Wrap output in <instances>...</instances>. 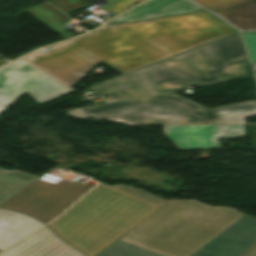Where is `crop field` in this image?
I'll return each mask as SVG.
<instances>
[{"label": "crop field", "instance_id": "e52e79f7", "mask_svg": "<svg viewBox=\"0 0 256 256\" xmlns=\"http://www.w3.org/2000/svg\"><path fill=\"white\" fill-rule=\"evenodd\" d=\"M90 187L62 179L56 185L35 181L1 207L32 215L43 222L58 216Z\"/></svg>", "mask_w": 256, "mask_h": 256}, {"label": "crop field", "instance_id": "214f88e0", "mask_svg": "<svg viewBox=\"0 0 256 256\" xmlns=\"http://www.w3.org/2000/svg\"><path fill=\"white\" fill-rule=\"evenodd\" d=\"M49 2L66 14L90 6V4L84 0H52Z\"/></svg>", "mask_w": 256, "mask_h": 256}, {"label": "crop field", "instance_id": "bc2a9ffb", "mask_svg": "<svg viewBox=\"0 0 256 256\" xmlns=\"http://www.w3.org/2000/svg\"><path fill=\"white\" fill-rule=\"evenodd\" d=\"M98 256H163L117 240Z\"/></svg>", "mask_w": 256, "mask_h": 256}, {"label": "crop field", "instance_id": "d9b57169", "mask_svg": "<svg viewBox=\"0 0 256 256\" xmlns=\"http://www.w3.org/2000/svg\"><path fill=\"white\" fill-rule=\"evenodd\" d=\"M211 11L241 30H256V0H244Z\"/></svg>", "mask_w": 256, "mask_h": 256}, {"label": "crop field", "instance_id": "cbeb9de0", "mask_svg": "<svg viewBox=\"0 0 256 256\" xmlns=\"http://www.w3.org/2000/svg\"><path fill=\"white\" fill-rule=\"evenodd\" d=\"M43 225L25 214L0 208V251Z\"/></svg>", "mask_w": 256, "mask_h": 256}, {"label": "crop field", "instance_id": "f4fd0767", "mask_svg": "<svg viewBox=\"0 0 256 256\" xmlns=\"http://www.w3.org/2000/svg\"><path fill=\"white\" fill-rule=\"evenodd\" d=\"M124 25L173 55L236 32L205 11Z\"/></svg>", "mask_w": 256, "mask_h": 256}, {"label": "crop field", "instance_id": "733c2abd", "mask_svg": "<svg viewBox=\"0 0 256 256\" xmlns=\"http://www.w3.org/2000/svg\"><path fill=\"white\" fill-rule=\"evenodd\" d=\"M38 178L17 170L8 171L0 168V205Z\"/></svg>", "mask_w": 256, "mask_h": 256}, {"label": "crop field", "instance_id": "34b2d1b8", "mask_svg": "<svg viewBox=\"0 0 256 256\" xmlns=\"http://www.w3.org/2000/svg\"><path fill=\"white\" fill-rule=\"evenodd\" d=\"M242 215L192 200L168 201L119 240L166 256H189Z\"/></svg>", "mask_w": 256, "mask_h": 256}, {"label": "crop field", "instance_id": "412701ff", "mask_svg": "<svg viewBox=\"0 0 256 256\" xmlns=\"http://www.w3.org/2000/svg\"><path fill=\"white\" fill-rule=\"evenodd\" d=\"M134 72L156 93L253 77L238 33Z\"/></svg>", "mask_w": 256, "mask_h": 256}, {"label": "crop field", "instance_id": "8a807250", "mask_svg": "<svg viewBox=\"0 0 256 256\" xmlns=\"http://www.w3.org/2000/svg\"><path fill=\"white\" fill-rule=\"evenodd\" d=\"M37 51L24 58L72 87L100 61L124 74L172 56L122 24Z\"/></svg>", "mask_w": 256, "mask_h": 256}, {"label": "crop field", "instance_id": "92a150f3", "mask_svg": "<svg viewBox=\"0 0 256 256\" xmlns=\"http://www.w3.org/2000/svg\"><path fill=\"white\" fill-rule=\"evenodd\" d=\"M112 187L118 188V189H120V190H122L124 192H127V193H129V194H131L133 196H136V197L141 198V199H143L145 201L153 203V204H155V205H157L159 207L161 205H163L165 202H167V201H165V200H163V199H161L159 197L152 196V195H150V194H148V193H146V192H144V191H142L140 189H132V188L124 187L122 185L112 186Z\"/></svg>", "mask_w": 256, "mask_h": 256}, {"label": "crop field", "instance_id": "dafd665d", "mask_svg": "<svg viewBox=\"0 0 256 256\" xmlns=\"http://www.w3.org/2000/svg\"><path fill=\"white\" fill-rule=\"evenodd\" d=\"M108 4L101 7V9L109 13H117L122 11L139 0H106Z\"/></svg>", "mask_w": 256, "mask_h": 256}, {"label": "crop field", "instance_id": "dd49c442", "mask_svg": "<svg viewBox=\"0 0 256 256\" xmlns=\"http://www.w3.org/2000/svg\"><path fill=\"white\" fill-rule=\"evenodd\" d=\"M72 117L109 120L119 118L126 125L212 124L171 105L156 95L83 107L66 111Z\"/></svg>", "mask_w": 256, "mask_h": 256}, {"label": "crop field", "instance_id": "22f410ed", "mask_svg": "<svg viewBox=\"0 0 256 256\" xmlns=\"http://www.w3.org/2000/svg\"><path fill=\"white\" fill-rule=\"evenodd\" d=\"M200 9V7L189 0H149L118 16L112 21L134 22L160 16L176 15L178 13Z\"/></svg>", "mask_w": 256, "mask_h": 256}, {"label": "crop field", "instance_id": "4a817a6b", "mask_svg": "<svg viewBox=\"0 0 256 256\" xmlns=\"http://www.w3.org/2000/svg\"><path fill=\"white\" fill-rule=\"evenodd\" d=\"M25 10L63 37L67 38L73 36L67 31L68 29L64 27L69 24L67 22L70 21V19L48 4L44 3Z\"/></svg>", "mask_w": 256, "mask_h": 256}, {"label": "crop field", "instance_id": "4177f3b9", "mask_svg": "<svg viewBox=\"0 0 256 256\" xmlns=\"http://www.w3.org/2000/svg\"><path fill=\"white\" fill-rule=\"evenodd\" d=\"M62 178L67 179V180L72 181V182H74L76 179H78V177L71 176V175H68V174H66ZM62 178L45 174L39 180H43V181H47V182L56 184Z\"/></svg>", "mask_w": 256, "mask_h": 256}, {"label": "crop field", "instance_id": "730fd06b", "mask_svg": "<svg viewBox=\"0 0 256 256\" xmlns=\"http://www.w3.org/2000/svg\"><path fill=\"white\" fill-rule=\"evenodd\" d=\"M164 134L175 143L179 150H185L178 133L164 132Z\"/></svg>", "mask_w": 256, "mask_h": 256}, {"label": "crop field", "instance_id": "eef30255", "mask_svg": "<svg viewBox=\"0 0 256 256\" xmlns=\"http://www.w3.org/2000/svg\"><path fill=\"white\" fill-rule=\"evenodd\" d=\"M246 256H256V244L253 246V248L248 252Z\"/></svg>", "mask_w": 256, "mask_h": 256}, {"label": "crop field", "instance_id": "3316defc", "mask_svg": "<svg viewBox=\"0 0 256 256\" xmlns=\"http://www.w3.org/2000/svg\"><path fill=\"white\" fill-rule=\"evenodd\" d=\"M65 254L84 256L46 226L4 251L0 256H65Z\"/></svg>", "mask_w": 256, "mask_h": 256}, {"label": "crop field", "instance_id": "d1516ede", "mask_svg": "<svg viewBox=\"0 0 256 256\" xmlns=\"http://www.w3.org/2000/svg\"><path fill=\"white\" fill-rule=\"evenodd\" d=\"M163 129L179 132L186 150L220 147L216 137H244L243 125L163 127Z\"/></svg>", "mask_w": 256, "mask_h": 256}, {"label": "crop field", "instance_id": "a9b5d70f", "mask_svg": "<svg viewBox=\"0 0 256 256\" xmlns=\"http://www.w3.org/2000/svg\"><path fill=\"white\" fill-rule=\"evenodd\" d=\"M193 1H195L197 4H199L204 8L211 9L217 6L233 3L240 0H193Z\"/></svg>", "mask_w": 256, "mask_h": 256}, {"label": "crop field", "instance_id": "5a996713", "mask_svg": "<svg viewBox=\"0 0 256 256\" xmlns=\"http://www.w3.org/2000/svg\"><path fill=\"white\" fill-rule=\"evenodd\" d=\"M256 243V219L243 216L192 256H245Z\"/></svg>", "mask_w": 256, "mask_h": 256}, {"label": "crop field", "instance_id": "ac0d7876", "mask_svg": "<svg viewBox=\"0 0 256 256\" xmlns=\"http://www.w3.org/2000/svg\"><path fill=\"white\" fill-rule=\"evenodd\" d=\"M158 208L100 183L49 225L65 241L94 256Z\"/></svg>", "mask_w": 256, "mask_h": 256}, {"label": "crop field", "instance_id": "d8731c3e", "mask_svg": "<svg viewBox=\"0 0 256 256\" xmlns=\"http://www.w3.org/2000/svg\"><path fill=\"white\" fill-rule=\"evenodd\" d=\"M70 92L23 59L0 68V113L24 93L42 104Z\"/></svg>", "mask_w": 256, "mask_h": 256}, {"label": "crop field", "instance_id": "5142ce71", "mask_svg": "<svg viewBox=\"0 0 256 256\" xmlns=\"http://www.w3.org/2000/svg\"><path fill=\"white\" fill-rule=\"evenodd\" d=\"M93 88L106 100H118L154 92L150 87L134 77L132 74H124L104 83L93 86Z\"/></svg>", "mask_w": 256, "mask_h": 256}, {"label": "crop field", "instance_id": "ae1a2a85", "mask_svg": "<svg viewBox=\"0 0 256 256\" xmlns=\"http://www.w3.org/2000/svg\"><path fill=\"white\" fill-rule=\"evenodd\" d=\"M5 62V60H3L2 58H0V64Z\"/></svg>", "mask_w": 256, "mask_h": 256}, {"label": "crop field", "instance_id": "28ad6ade", "mask_svg": "<svg viewBox=\"0 0 256 256\" xmlns=\"http://www.w3.org/2000/svg\"><path fill=\"white\" fill-rule=\"evenodd\" d=\"M158 96L214 124L246 123L244 117L256 115V101L206 109L173 93Z\"/></svg>", "mask_w": 256, "mask_h": 256}, {"label": "crop field", "instance_id": "00972430", "mask_svg": "<svg viewBox=\"0 0 256 256\" xmlns=\"http://www.w3.org/2000/svg\"><path fill=\"white\" fill-rule=\"evenodd\" d=\"M251 57V60L256 64V33H242Z\"/></svg>", "mask_w": 256, "mask_h": 256}]
</instances>
